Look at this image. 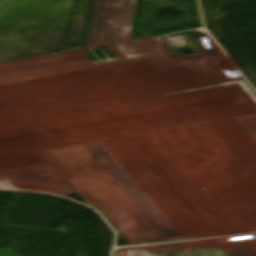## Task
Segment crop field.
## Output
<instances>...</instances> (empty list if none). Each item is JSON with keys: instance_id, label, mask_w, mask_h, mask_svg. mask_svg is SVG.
<instances>
[{"instance_id": "crop-field-1", "label": "crop field", "mask_w": 256, "mask_h": 256, "mask_svg": "<svg viewBox=\"0 0 256 256\" xmlns=\"http://www.w3.org/2000/svg\"><path fill=\"white\" fill-rule=\"evenodd\" d=\"M116 256H159V253L157 246H141L120 249L116 252Z\"/></svg>"}]
</instances>
